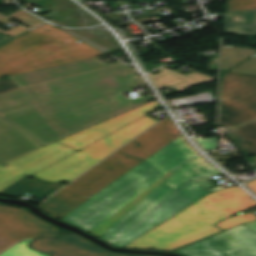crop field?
<instances>
[{
  "instance_id": "12",
  "label": "crop field",
  "mask_w": 256,
  "mask_h": 256,
  "mask_svg": "<svg viewBox=\"0 0 256 256\" xmlns=\"http://www.w3.org/2000/svg\"><path fill=\"white\" fill-rule=\"evenodd\" d=\"M123 64L119 61L106 65L101 63L97 58L48 68L44 70L34 71L30 73L20 74L10 77L20 87L52 81L84 72L99 70L115 65Z\"/></svg>"
},
{
  "instance_id": "27",
  "label": "crop field",
  "mask_w": 256,
  "mask_h": 256,
  "mask_svg": "<svg viewBox=\"0 0 256 256\" xmlns=\"http://www.w3.org/2000/svg\"><path fill=\"white\" fill-rule=\"evenodd\" d=\"M14 39L13 37H6V36H3L1 33H0V45L10 41Z\"/></svg>"
},
{
  "instance_id": "10",
  "label": "crop field",
  "mask_w": 256,
  "mask_h": 256,
  "mask_svg": "<svg viewBox=\"0 0 256 256\" xmlns=\"http://www.w3.org/2000/svg\"><path fill=\"white\" fill-rule=\"evenodd\" d=\"M56 237L55 227L48 225L22 209L0 204V252L20 239L40 236Z\"/></svg>"
},
{
  "instance_id": "7",
  "label": "crop field",
  "mask_w": 256,
  "mask_h": 256,
  "mask_svg": "<svg viewBox=\"0 0 256 256\" xmlns=\"http://www.w3.org/2000/svg\"><path fill=\"white\" fill-rule=\"evenodd\" d=\"M155 122L145 116L32 176L56 183L70 182Z\"/></svg>"
},
{
  "instance_id": "14",
  "label": "crop field",
  "mask_w": 256,
  "mask_h": 256,
  "mask_svg": "<svg viewBox=\"0 0 256 256\" xmlns=\"http://www.w3.org/2000/svg\"><path fill=\"white\" fill-rule=\"evenodd\" d=\"M41 17L52 23L66 27L92 26L100 23L73 3Z\"/></svg>"
},
{
  "instance_id": "6",
  "label": "crop field",
  "mask_w": 256,
  "mask_h": 256,
  "mask_svg": "<svg viewBox=\"0 0 256 256\" xmlns=\"http://www.w3.org/2000/svg\"><path fill=\"white\" fill-rule=\"evenodd\" d=\"M159 107L161 106L157 101H152L98 125L10 160L4 163L9 164L6 167H3V164L0 165V191L21 177L37 172Z\"/></svg>"
},
{
  "instance_id": "28",
  "label": "crop field",
  "mask_w": 256,
  "mask_h": 256,
  "mask_svg": "<svg viewBox=\"0 0 256 256\" xmlns=\"http://www.w3.org/2000/svg\"><path fill=\"white\" fill-rule=\"evenodd\" d=\"M248 186H250L254 191H256V180L247 183Z\"/></svg>"
},
{
  "instance_id": "15",
  "label": "crop field",
  "mask_w": 256,
  "mask_h": 256,
  "mask_svg": "<svg viewBox=\"0 0 256 256\" xmlns=\"http://www.w3.org/2000/svg\"><path fill=\"white\" fill-rule=\"evenodd\" d=\"M225 29L232 34L256 35V10L226 12Z\"/></svg>"
},
{
  "instance_id": "26",
  "label": "crop field",
  "mask_w": 256,
  "mask_h": 256,
  "mask_svg": "<svg viewBox=\"0 0 256 256\" xmlns=\"http://www.w3.org/2000/svg\"><path fill=\"white\" fill-rule=\"evenodd\" d=\"M19 88L11 79H2L0 80V93Z\"/></svg>"
},
{
  "instance_id": "24",
  "label": "crop field",
  "mask_w": 256,
  "mask_h": 256,
  "mask_svg": "<svg viewBox=\"0 0 256 256\" xmlns=\"http://www.w3.org/2000/svg\"><path fill=\"white\" fill-rule=\"evenodd\" d=\"M231 71L256 75V56L250 58L249 60L245 61Z\"/></svg>"
},
{
  "instance_id": "13",
  "label": "crop field",
  "mask_w": 256,
  "mask_h": 256,
  "mask_svg": "<svg viewBox=\"0 0 256 256\" xmlns=\"http://www.w3.org/2000/svg\"><path fill=\"white\" fill-rule=\"evenodd\" d=\"M63 184H55L39 179L21 178L11 186L0 192L1 196L17 198L23 193L27 192L34 195L35 199H45L61 188Z\"/></svg>"
},
{
  "instance_id": "2",
  "label": "crop field",
  "mask_w": 256,
  "mask_h": 256,
  "mask_svg": "<svg viewBox=\"0 0 256 256\" xmlns=\"http://www.w3.org/2000/svg\"><path fill=\"white\" fill-rule=\"evenodd\" d=\"M186 142L180 136L61 220L89 233L172 169L168 179L99 238L110 244L132 227L112 244L122 248L206 194L224 189L196 182L221 173Z\"/></svg>"
},
{
  "instance_id": "31",
  "label": "crop field",
  "mask_w": 256,
  "mask_h": 256,
  "mask_svg": "<svg viewBox=\"0 0 256 256\" xmlns=\"http://www.w3.org/2000/svg\"><path fill=\"white\" fill-rule=\"evenodd\" d=\"M79 1H89V0H79Z\"/></svg>"
},
{
  "instance_id": "19",
  "label": "crop field",
  "mask_w": 256,
  "mask_h": 256,
  "mask_svg": "<svg viewBox=\"0 0 256 256\" xmlns=\"http://www.w3.org/2000/svg\"><path fill=\"white\" fill-rule=\"evenodd\" d=\"M255 53L256 50L253 49L223 46L221 49L220 71L231 69Z\"/></svg>"
},
{
  "instance_id": "16",
  "label": "crop field",
  "mask_w": 256,
  "mask_h": 256,
  "mask_svg": "<svg viewBox=\"0 0 256 256\" xmlns=\"http://www.w3.org/2000/svg\"><path fill=\"white\" fill-rule=\"evenodd\" d=\"M172 172H168L157 182L151 185L148 189L138 195L135 199L129 202L126 206L116 212L113 216L103 222L100 226L94 229L89 234L99 238L110 226H112L117 220H119L123 215H125L130 209H132L136 204H138L142 199H144L150 192H152L159 184H161L167 177H169ZM168 179V178H167Z\"/></svg>"
},
{
  "instance_id": "20",
  "label": "crop field",
  "mask_w": 256,
  "mask_h": 256,
  "mask_svg": "<svg viewBox=\"0 0 256 256\" xmlns=\"http://www.w3.org/2000/svg\"><path fill=\"white\" fill-rule=\"evenodd\" d=\"M12 18H15V19L21 21V24H23L25 26H28L30 28L44 22V21H42V20H40V19H38V18H36V17H34V16L30 15L29 13L22 10L19 13L15 14L11 17H8V18H4V17L0 16V24L3 25L5 23L9 22ZM27 30H29V29L19 25V26L15 27V28L7 31V32H4L2 30H0V32L5 34V35L15 37V36L25 32Z\"/></svg>"
},
{
  "instance_id": "11",
  "label": "crop field",
  "mask_w": 256,
  "mask_h": 256,
  "mask_svg": "<svg viewBox=\"0 0 256 256\" xmlns=\"http://www.w3.org/2000/svg\"><path fill=\"white\" fill-rule=\"evenodd\" d=\"M29 246L37 251L48 252L51 256H146L111 253L76 234L59 239L41 237Z\"/></svg>"
},
{
  "instance_id": "21",
  "label": "crop field",
  "mask_w": 256,
  "mask_h": 256,
  "mask_svg": "<svg viewBox=\"0 0 256 256\" xmlns=\"http://www.w3.org/2000/svg\"><path fill=\"white\" fill-rule=\"evenodd\" d=\"M30 241L31 240L23 241L15 246H13L12 248L7 250L0 256H48V254L38 253L34 250L29 249L26 246V244H28Z\"/></svg>"
},
{
  "instance_id": "17",
  "label": "crop field",
  "mask_w": 256,
  "mask_h": 256,
  "mask_svg": "<svg viewBox=\"0 0 256 256\" xmlns=\"http://www.w3.org/2000/svg\"><path fill=\"white\" fill-rule=\"evenodd\" d=\"M245 154L256 155V121L228 133Z\"/></svg>"
},
{
  "instance_id": "18",
  "label": "crop field",
  "mask_w": 256,
  "mask_h": 256,
  "mask_svg": "<svg viewBox=\"0 0 256 256\" xmlns=\"http://www.w3.org/2000/svg\"><path fill=\"white\" fill-rule=\"evenodd\" d=\"M68 31L78 35L79 37L91 42L92 44L108 52H115L117 50H120V47L111 36V34L108 32L91 31L88 29Z\"/></svg>"
},
{
  "instance_id": "8",
  "label": "crop field",
  "mask_w": 256,
  "mask_h": 256,
  "mask_svg": "<svg viewBox=\"0 0 256 256\" xmlns=\"http://www.w3.org/2000/svg\"><path fill=\"white\" fill-rule=\"evenodd\" d=\"M219 123L231 129L256 118V76L226 73Z\"/></svg>"
},
{
  "instance_id": "23",
  "label": "crop field",
  "mask_w": 256,
  "mask_h": 256,
  "mask_svg": "<svg viewBox=\"0 0 256 256\" xmlns=\"http://www.w3.org/2000/svg\"><path fill=\"white\" fill-rule=\"evenodd\" d=\"M226 11L256 9V0H227Z\"/></svg>"
},
{
  "instance_id": "3",
  "label": "crop field",
  "mask_w": 256,
  "mask_h": 256,
  "mask_svg": "<svg viewBox=\"0 0 256 256\" xmlns=\"http://www.w3.org/2000/svg\"><path fill=\"white\" fill-rule=\"evenodd\" d=\"M180 132L168 118L140 135L134 141L108 157L98 166L80 176L60 192L38 205V208L62 218L82 202L124 175L140 162L176 139Z\"/></svg>"
},
{
  "instance_id": "25",
  "label": "crop field",
  "mask_w": 256,
  "mask_h": 256,
  "mask_svg": "<svg viewBox=\"0 0 256 256\" xmlns=\"http://www.w3.org/2000/svg\"><path fill=\"white\" fill-rule=\"evenodd\" d=\"M195 139L205 149V151L216 150L217 137L209 138V139H205V140H203L201 137H197Z\"/></svg>"
},
{
  "instance_id": "4",
  "label": "crop field",
  "mask_w": 256,
  "mask_h": 256,
  "mask_svg": "<svg viewBox=\"0 0 256 256\" xmlns=\"http://www.w3.org/2000/svg\"><path fill=\"white\" fill-rule=\"evenodd\" d=\"M255 206L256 201L237 186L208 194L124 248L176 249L220 232L213 224Z\"/></svg>"
},
{
  "instance_id": "5",
  "label": "crop field",
  "mask_w": 256,
  "mask_h": 256,
  "mask_svg": "<svg viewBox=\"0 0 256 256\" xmlns=\"http://www.w3.org/2000/svg\"><path fill=\"white\" fill-rule=\"evenodd\" d=\"M45 23L0 47V77L82 61L104 53ZM80 41V40H79Z\"/></svg>"
},
{
  "instance_id": "29",
  "label": "crop field",
  "mask_w": 256,
  "mask_h": 256,
  "mask_svg": "<svg viewBox=\"0 0 256 256\" xmlns=\"http://www.w3.org/2000/svg\"><path fill=\"white\" fill-rule=\"evenodd\" d=\"M213 158L216 159L217 161L233 159V158H227V157H213Z\"/></svg>"
},
{
  "instance_id": "22",
  "label": "crop field",
  "mask_w": 256,
  "mask_h": 256,
  "mask_svg": "<svg viewBox=\"0 0 256 256\" xmlns=\"http://www.w3.org/2000/svg\"><path fill=\"white\" fill-rule=\"evenodd\" d=\"M255 220H256V215L249 213V214L229 218L217 225L219 227H221L222 229L226 230V229L232 228L234 226H237V225H240L243 223H247V222H251V221H255Z\"/></svg>"
},
{
  "instance_id": "9",
  "label": "crop field",
  "mask_w": 256,
  "mask_h": 256,
  "mask_svg": "<svg viewBox=\"0 0 256 256\" xmlns=\"http://www.w3.org/2000/svg\"><path fill=\"white\" fill-rule=\"evenodd\" d=\"M172 253L185 256H256V222L234 227Z\"/></svg>"
},
{
  "instance_id": "1",
  "label": "crop field",
  "mask_w": 256,
  "mask_h": 256,
  "mask_svg": "<svg viewBox=\"0 0 256 256\" xmlns=\"http://www.w3.org/2000/svg\"><path fill=\"white\" fill-rule=\"evenodd\" d=\"M144 84L135 69L123 64L0 94V116L45 145L154 99L153 94L133 100L122 95ZM39 147L0 119V164Z\"/></svg>"
},
{
  "instance_id": "30",
  "label": "crop field",
  "mask_w": 256,
  "mask_h": 256,
  "mask_svg": "<svg viewBox=\"0 0 256 256\" xmlns=\"http://www.w3.org/2000/svg\"><path fill=\"white\" fill-rule=\"evenodd\" d=\"M249 162H256V157L249 159Z\"/></svg>"
}]
</instances>
